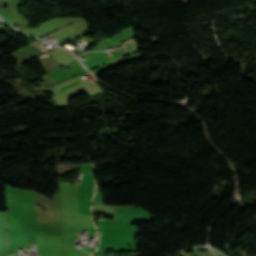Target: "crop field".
Here are the masks:
<instances>
[{"label": "crop field", "mask_w": 256, "mask_h": 256, "mask_svg": "<svg viewBox=\"0 0 256 256\" xmlns=\"http://www.w3.org/2000/svg\"><path fill=\"white\" fill-rule=\"evenodd\" d=\"M5 212H0V256H7Z\"/></svg>", "instance_id": "8a807250"}]
</instances>
